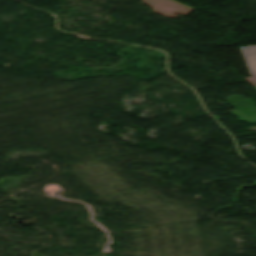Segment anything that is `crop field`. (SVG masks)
I'll return each instance as SVG.
<instances>
[{
	"mask_svg": "<svg viewBox=\"0 0 256 256\" xmlns=\"http://www.w3.org/2000/svg\"><path fill=\"white\" fill-rule=\"evenodd\" d=\"M252 77H256V47H246L242 50Z\"/></svg>",
	"mask_w": 256,
	"mask_h": 256,
	"instance_id": "obj_1",
	"label": "crop field"
}]
</instances>
